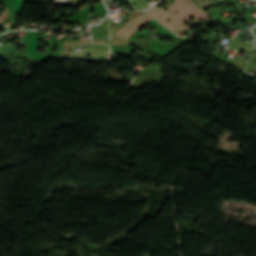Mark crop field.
Returning a JSON list of instances; mask_svg holds the SVG:
<instances>
[{
    "instance_id": "obj_5",
    "label": "crop field",
    "mask_w": 256,
    "mask_h": 256,
    "mask_svg": "<svg viewBox=\"0 0 256 256\" xmlns=\"http://www.w3.org/2000/svg\"><path fill=\"white\" fill-rule=\"evenodd\" d=\"M4 18H6V15H5V14H3V15L0 17V21H1L2 19H4Z\"/></svg>"
},
{
    "instance_id": "obj_3",
    "label": "crop field",
    "mask_w": 256,
    "mask_h": 256,
    "mask_svg": "<svg viewBox=\"0 0 256 256\" xmlns=\"http://www.w3.org/2000/svg\"><path fill=\"white\" fill-rule=\"evenodd\" d=\"M153 19L151 16H149L146 12L137 17L135 20L127 24L125 27H123L121 30L117 32L116 35L123 36L126 38H129V36L136 31L139 27L147 23Z\"/></svg>"
},
{
    "instance_id": "obj_1",
    "label": "crop field",
    "mask_w": 256,
    "mask_h": 256,
    "mask_svg": "<svg viewBox=\"0 0 256 256\" xmlns=\"http://www.w3.org/2000/svg\"><path fill=\"white\" fill-rule=\"evenodd\" d=\"M187 2H189V4H187ZM168 11L182 22L188 19L190 16H194L197 20L199 18L203 19L207 17V15L197 8L190 0H176ZM177 11L179 13L175 14Z\"/></svg>"
},
{
    "instance_id": "obj_2",
    "label": "crop field",
    "mask_w": 256,
    "mask_h": 256,
    "mask_svg": "<svg viewBox=\"0 0 256 256\" xmlns=\"http://www.w3.org/2000/svg\"><path fill=\"white\" fill-rule=\"evenodd\" d=\"M157 21H159L162 25L170 29L171 31H179L183 29H187L182 23L177 20L173 15H171L165 8L158 9L156 7L150 8L147 10ZM171 19L170 23L166 22L167 18Z\"/></svg>"
},
{
    "instance_id": "obj_4",
    "label": "crop field",
    "mask_w": 256,
    "mask_h": 256,
    "mask_svg": "<svg viewBox=\"0 0 256 256\" xmlns=\"http://www.w3.org/2000/svg\"><path fill=\"white\" fill-rule=\"evenodd\" d=\"M107 50L108 49H90L88 51H84V53L99 54L97 58H85V59H109L107 57L108 55Z\"/></svg>"
}]
</instances>
